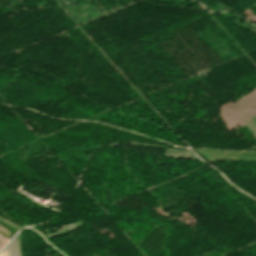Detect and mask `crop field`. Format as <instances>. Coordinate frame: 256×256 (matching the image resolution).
Segmentation results:
<instances>
[{
  "label": "crop field",
  "instance_id": "1",
  "mask_svg": "<svg viewBox=\"0 0 256 256\" xmlns=\"http://www.w3.org/2000/svg\"><path fill=\"white\" fill-rule=\"evenodd\" d=\"M0 256H20L17 234L10 241V243L2 251H0Z\"/></svg>",
  "mask_w": 256,
  "mask_h": 256
}]
</instances>
